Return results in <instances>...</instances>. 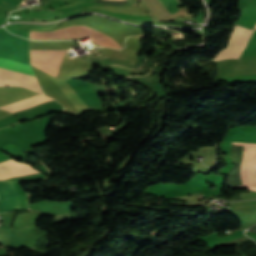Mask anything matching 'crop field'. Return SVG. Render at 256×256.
<instances>
[{
  "instance_id": "crop-field-1",
  "label": "crop field",
  "mask_w": 256,
  "mask_h": 256,
  "mask_svg": "<svg viewBox=\"0 0 256 256\" xmlns=\"http://www.w3.org/2000/svg\"><path fill=\"white\" fill-rule=\"evenodd\" d=\"M90 36L93 38V41L101 44L108 45L115 48H119L120 46L113 39L108 36L90 29L85 26H71L62 30H57L54 32H31L30 38L32 39H57V38H76V37H84Z\"/></svg>"
},
{
  "instance_id": "crop-field-2",
  "label": "crop field",
  "mask_w": 256,
  "mask_h": 256,
  "mask_svg": "<svg viewBox=\"0 0 256 256\" xmlns=\"http://www.w3.org/2000/svg\"><path fill=\"white\" fill-rule=\"evenodd\" d=\"M0 67L34 75L30 66L17 63L11 60H7L4 58H0ZM50 77L56 83V85L61 89V91L66 95V97L71 101V103L76 107L78 111H81L82 109L87 108L85 103L79 98V96L74 92V90L68 85L66 81L55 79L52 76Z\"/></svg>"
},
{
  "instance_id": "crop-field-3",
  "label": "crop field",
  "mask_w": 256,
  "mask_h": 256,
  "mask_svg": "<svg viewBox=\"0 0 256 256\" xmlns=\"http://www.w3.org/2000/svg\"><path fill=\"white\" fill-rule=\"evenodd\" d=\"M252 32L253 30L235 26L231 33L228 46L220 51L214 60L242 57Z\"/></svg>"
},
{
  "instance_id": "crop-field-4",
  "label": "crop field",
  "mask_w": 256,
  "mask_h": 256,
  "mask_svg": "<svg viewBox=\"0 0 256 256\" xmlns=\"http://www.w3.org/2000/svg\"><path fill=\"white\" fill-rule=\"evenodd\" d=\"M65 51L30 50L31 64L55 76Z\"/></svg>"
},
{
  "instance_id": "crop-field-5",
  "label": "crop field",
  "mask_w": 256,
  "mask_h": 256,
  "mask_svg": "<svg viewBox=\"0 0 256 256\" xmlns=\"http://www.w3.org/2000/svg\"><path fill=\"white\" fill-rule=\"evenodd\" d=\"M21 196L15 182L0 181V213L20 209Z\"/></svg>"
},
{
  "instance_id": "crop-field-6",
  "label": "crop field",
  "mask_w": 256,
  "mask_h": 256,
  "mask_svg": "<svg viewBox=\"0 0 256 256\" xmlns=\"http://www.w3.org/2000/svg\"><path fill=\"white\" fill-rule=\"evenodd\" d=\"M36 94L39 93L20 87H0V106L17 102Z\"/></svg>"
},
{
  "instance_id": "crop-field-7",
  "label": "crop field",
  "mask_w": 256,
  "mask_h": 256,
  "mask_svg": "<svg viewBox=\"0 0 256 256\" xmlns=\"http://www.w3.org/2000/svg\"><path fill=\"white\" fill-rule=\"evenodd\" d=\"M60 14L62 13L50 12V11H39V12L23 14L22 17L28 18V19L50 20Z\"/></svg>"
},
{
  "instance_id": "crop-field-8",
  "label": "crop field",
  "mask_w": 256,
  "mask_h": 256,
  "mask_svg": "<svg viewBox=\"0 0 256 256\" xmlns=\"http://www.w3.org/2000/svg\"><path fill=\"white\" fill-rule=\"evenodd\" d=\"M159 3H161L165 9L171 13H175L176 11H178V9L176 8V6H178V4L176 3L175 0H156Z\"/></svg>"
},
{
  "instance_id": "crop-field-9",
  "label": "crop field",
  "mask_w": 256,
  "mask_h": 256,
  "mask_svg": "<svg viewBox=\"0 0 256 256\" xmlns=\"http://www.w3.org/2000/svg\"><path fill=\"white\" fill-rule=\"evenodd\" d=\"M254 29H256V26H255V28Z\"/></svg>"
}]
</instances>
